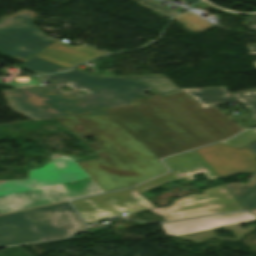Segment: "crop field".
<instances>
[{"mask_svg": "<svg viewBox=\"0 0 256 256\" xmlns=\"http://www.w3.org/2000/svg\"><path fill=\"white\" fill-rule=\"evenodd\" d=\"M56 119L99 156L78 164L102 192L127 188L167 172L159 157L106 115ZM86 136L98 142L87 143Z\"/></svg>", "mask_w": 256, "mask_h": 256, "instance_id": "8a807250", "label": "crop field"}, {"mask_svg": "<svg viewBox=\"0 0 256 256\" xmlns=\"http://www.w3.org/2000/svg\"><path fill=\"white\" fill-rule=\"evenodd\" d=\"M42 77L56 84L2 91L13 110L33 120L46 119L128 104L151 89L134 80L101 78L74 69ZM65 84L74 90H59ZM79 90L88 93L79 95Z\"/></svg>", "mask_w": 256, "mask_h": 256, "instance_id": "ac0d7876", "label": "crop field"}, {"mask_svg": "<svg viewBox=\"0 0 256 256\" xmlns=\"http://www.w3.org/2000/svg\"><path fill=\"white\" fill-rule=\"evenodd\" d=\"M107 115L160 158L214 143L158 93L134 107Z\"/></svg>", "mask_w": 256, "mask_h": 256, "instance_id": "34b2d1b8", "label": "crop field"}, {"mask_svg": "<svg viewBox=\"0 0 256 256\" xmlns=\"http://www.w3.org/2000/svg\"><path fill=\"white\" fill-rule=\"evenodd\" d=\"M50 157L45 166L28 171V180H0V214L101 192L70 157Z\"/></svg>", "mask_w": 256, "mask_h": 256, "instance_id": "412701ff", "label": "crop field"}, {"mask_svg": "<svg viewBox=\"0 0 256 256\" xmlns=\"http://www.w3.org/2000/svg\"><path fill=\"white\" fill-rule=\"evenodd\" d=\"M85 227L69 202L0 216V247L76 234Z\"/></svg>", "mask_w": 256, "mask_h": 256, "instance_id": "f4fd0767", "label": "crop field"}, {"mask_svg": "<svg viewBox=\"0 0 256 256\" xmlns=\"http://www.w3.org/2000/svg\"><path fill=\"white\" fill-rule=\"evenodd\" d=\"M35 16L33 11L22 10L0 21V53L26 62L55 41L31 26Z\"/></svg>", "mask_w": 256, "mask_h": 256, "instance_id": "dd49c442", "label": "crop field"}, {"mask_svg": "<svg viewBox=\"0 0 256 256\" xmlns=\"http://www.w3.org/2000/svg\"><path fill=\"white\" fill-rule=\"evenodd\" d=\"M255 216L248 212H235L177 222L161 224L166 235H172L184 240H190L195 243L202 242L211 238H218L223 241L236 242L244 235L249 234L252 230L256 231L255 227L248 226L242 229L239 223L254 221ZM223 226L224 230L233 232L236 239H227L216 237L213 230Z\"/></svg>", "mask_w": 256, "mask_h": 256, "instance_id": "e52e79f7", "label": "crop field"}, {"mask_svg": "<svg viewBox=\"0 0 256 256\" xmlns=\"http://www.w3.org/2000/svg\"><path fill=\"white\" fill-rule=\"evenodd\" d=\"M224 185L205 190L203 195H188L172 202L171 206L150 211L167 221L189 217L242 210Z\"/></svg>", "mask_w": 256, "mask_h": 256, "instance_id": "d8731c3e", "label": "crop field"}, {"mask_svg": "<svg viewBox=\"0 0 256 256\" xmlns=\"http://www.w3.org/2000/svg\"><path fill=\"white\" fill-rule=\"evenodd\" d=\"M72 203L85 223H95L107 217L118 216L122 212L134 213L155 208L131 189L75 200Z\"/></svg>", "mask_w": 256, "mask_h": 256, "instance_id": "5a996713", "label": "crop field"}, {"mask_svg": "<svg viewBox=\"0 0 256 256\" xmlns=\"http://www.w3.org/2000/svg\"><path fill=\"white\" fill-rule=\"evenodd\" d=\"M164 99L216 141L227 139L242 130L215 106L202 109L183 92L166 96Z\"/></svg>", "mask_w": 256, "mask_h": 256, "instance_id": "3316defc", "label": "crop field"}, {"mask_svg": "<svg viewBox=\"0 0 256 256\" xmlns=\"http://www.w3.org/2000/svg\"><path fill=\"white\" fill-rule=\"evenodd\" d=\"M197 151L219 177L256 170V158L247 148L237 150L216 144Z\"/></svg>", "mask_w": 256, "mask_h": 256, "instance_id": "28ad6ade", "label": "crop field"}, {"mask_svg": "<svg viewBox=\"0 0 256 256\" xmlns=\"http://www.w3.org/2000/svg\"><path fill=\"white\" fill-rule=\"evenodd\" d=\"M248 28L256 31V25ZM250 54L256 53V44L248 46ZM256 67V62H254ZM202 108L238 101L248 114L256 121V89L230 94L224 87L182 89ZM205 103L206 105H203Z\"/></svg>", "mask_w": 256, "mask_h": 256, "instance_id": "d1516ede", "label": "crop field"}, {"mask_svg": "<svg viewBox=\"0 0 256 256\" xmlns=\"http://www.w3.org/2000/svg\"><path fill=\"white\" fill-rule=\"evenodd\" d=\"M163 161L168 165L172 172L134 188L140 192H143L175 179L183 178L185 180H193L190 175L200 172H203L208 179L218 177L196 150L167 158Z\"/></svg>", "mask_w": 256, "mask_h": 256, "instance_id": "22f410ed", "label": "crop field"}, {"mask_svg": "<svg viewBox=\"0 0 256 256\" xmlns=\"http://www.w3.org/2000/svg\"><path fill=\"white\" fill-rule=\"evenodd\" d=\"M102 54L105 53L90 47H71L55 41L36 56L70 68L77 63L84 62Z\"/></svg>", "mask_w": 256, "mask_h": 256, "instance_id": "cbeb9de0", "label": "crop field"}, {"mask_svg": "<svg viewBox=\"0 0 256 256\" xmlns=\"http://www.w3.org/2000/svg\"><path fill=\"white\" fill-rule=\"evenodd\" d=\"M250 175L252 179L245 184L230 183L225 185L244 209L256 208V171Z\"/></svg>", "mask_w": 256, "mask_h": 256, "instance_id": "5142ce71", "label": "crop field"}, {"mask_svg": "<svg viewBox=\"0 0 256 256\" xmlns=\"http://www.w3.org/2000/svg\"><path fill=\"white\" fill-rule=\"evenodd\" d=\"M126 78L137 79L152 86L162 96L181 92L172 82H170L163 75H149V76H121Z\"/></svg>", "mask_w": 256, "mask_h": 256, "instance_id": "d9b57169", "label": "crop field"}, {"mask_svg": "<svg viewBox=\"0 0 256 256\" xmlns=\"http://www.w3.org/2000/svg\"><path fill=\"white\" fill-rule=\"evenodd\" d=\"M178 23H184L185 27L193 32L203 31L213 25L209 24L199 16L192 14L188 11L174 18Z\"/></svg>", "mask_w": 256, "mask_h": 256, "instance_id": "733c2abd", "label": "crop field"}, {"mask_svg": "<svg viewBox=\"0 0 256 256\" xmlns=\"http://www.w3.org/2000/svg\"><path fill=\"white\" fill-rule=\"evenodd\" d=\"M21 67L35 73H49V72H59L66 68L60 67L58 65L43 61L41 59L33 57L28 62L23 64ZM67 70V69H66Z\"/></svg>", "mask_w": 256, "mask_h": 256, "instance_id": "4a817a6b", "label": "crop field"}, {"mask_svg": "<svg viewBox=\"0 0 256 256\" xmlns=\"http://www.w3.org/2000/svg\"><path fill=\"white\" fill-rule=\"evenodd\" d=\"M256 139V129L248 130V131H243L240 134L223 141L221 143L230 145L233 147H240L243 146L253 140Z\"/></svg>", "mask_w": 256, "mask_h": 256, "instance_id": "bc2a9ffb", "label": "crop field"}, {"mask_svg": "<svg viewBox=\"0 0 256 256\" xmlns=\"http://www.w3.org/2000/svg\"><path fill=\"white\" fill-rule=\"evenodd\" d=\"M138 4L141 5V6H144L146 8H149L151 10H154L156 12H159L161 14H164L166 16H169V17H171V16H173V15L178 13L176 11H173V10H171L169 8H166L164 6H161V5L157 4V3H154V2L149 1V0H142V1L138 2Z\"/></svg>", "mask_w": 256, "mask_h": 256, "instance_id": "214f88e0", "label": "crop field"}, {"mask_svg": "<svg viewBox=\"0 0 256 256\" xmlns=\"http://www.w3.org/2000/svg\"><path fill=\"white\" fill-rule=\"evenodd\" d=\"M196 6H199V7L203 8V9L211 7V5H209L206 2H200V3L194 4V5L190 6V7L193 8V7H196Z\"/></svg>", "mask_w": 256, "mask_h": 256, "instance_id": "92a150f3", "label": "crop field"}, {"mask_svg": "<svg viewBox=\"0 0 256 256\" xmlns=\"http://www.w3.org/2000/svg\"><path fill=\"white\" fill-rule=\"evenodd\" d=\"M247 148L256 156V142L250 144Z\"/></svg>", "mask_w": 256, "mask_h": 256, "instance_id": "dafd665d", "label": "crop field"}, {"mask_svg": "<svg viewBox=\"0 0 256 256\" xmlns=\"http://www.w3.org/2000/svg\"><path fill=\"white\" fill-rule=\"evenodd\" d=\"M246 20L256 23V14L250 16V17L247 18Z\"/></svg>", "mask_w": 256, "mask_h": 256, "instance_id": "00972430", "label": "crop field"}, {"mask_svg": "<svg viewBox=\"0 0 256 256\" xmlns=\"http://www.w3.org/2000/svg\"><path fill=\"white\" fill-rule=\"evenodd\" d=\"M168 1H173V0H168ZM184 1H186V2H188V3H190V4H192V3L197 2V1H199V0H184Z\"/></svg>", "mask_w": 256, "mask_h": 256, "instance_id": "a9b5d70f", "label": "crop field"}, {"mask_svg": "<svg viewBox=\"0 0 256 256\" xmlns=\"http://www.w3.org/2000/svg\"><path fill=\"white\" fill-rule=\"evenodd\" d=\"M250 212H252V213H255V214H256V211H250Z\"/></svg>", "mask_w": 256, "mask_h": 256, "instance_id": "4177f3b9", "label": "crop field"}]
</instances>
